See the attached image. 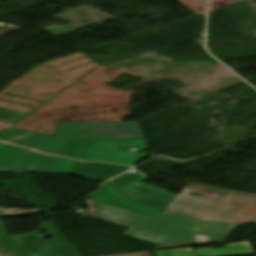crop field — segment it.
Returning a JSON list of instances; mask_svg holds the SVG:
<instances>
[{
  "label": "crop field",
  "instance_id": "733c2abd",
  "mask_svg": "<svg viewBox=\"0 0 256 256\" xmlns=\"http://www.w3.org/2000/svg\"><path fill=\"white\" fill-rule=\"evenodd\" d=\"M234 224H231V226H230V231L234 228ZM230 233V232H229Z\"/></svg>",
  "mask_w": 256,
  "mask_h": 256
},
{
  "label": "crop field",
  "instance_id": "ac0d7876",
  "mask_svg": "<svg viewBox=\"0 0 256 256\" xmlns=\"http://www.w3.org/2000/svg\"><path fill=\"white\" fill-rule=\"evenodd\" d=\"M69 138H144L137 122L61 123L55 137L10 128L0 140L62 156Z\"/></svg>",
  "mask_w": 256,
  "mask_h": 256
},
{
  "label": "crop field",
  "instance_id": "e52e79f7",
  "mask_svg": "<svg viewBox=\"0 0 256 256\" xmlns=\"http://www.w3.org/2000/svg\"><path fill=\"white\" fill-rule=\"evenodd\" d=\"M95 201H99L105 204H109L115 207H119L128 211H132L138 214H142L148 217L157 219L163 214L164 210L152 208L144 205L131 197L118 192L110 186L103 184L98 187L91 195L90 198Z\"/></svg>",
  "mask_w": 256,
  "mask_h": 256
},
{
  "label": "crop field",
  "instance_id": "dd49c442",
  "mask_svg": "<svg viewBox=\"0 0 256 256\" xmlns=\"http://www.w3.org/2000/svg\"><path fill=\"white\" fill-rule=\"evenodd\" d=\"M143 180H145V177L134 171L131 174H124L108 182V184L147 205L164 210L178 197L177 195L166 193L167 190L141 183Z\"/></svg>",
  "mask_w": 256,
  "mask_h": 256
},
{
  "label": "crop field",
  "instance_id": "d8731c3e",
  "mask_svg": "<svg viewBox=\"0 0 256 256\" xmlns=\"http://www.w3.org/2000/svg\"><path fill=\"white\" fill-rule=\"evenodd\" d=\"M41 154L0 143V171L29 172Z\"/></svg>",
  "mask_w": 256,
  "mask_h": 256
},
{
  "label": "crop field",
  "instance_id": "28ad6ade",
  "mask_svg": "<svg viewBox=\"0 0 256 256\" xmlns=\"http://www.w3.org/2000/svg\"><path fill=\"white\" fill-rule=\"evenodd\" d=\"M89 139H70L64 156L81 159Z\"/></svg>",
  "mask_w": 256,
  "mask_h": 256
},
{
  "label": "crop field",
  "instance_id": "f4fd0767",
  "mask_svg": "<svg viewBox=\"0 0 256 256\" xmlns=\"http://www.w3.org/2000/svg\"><path fill=\"white\" fill-rule=\"evenodd\" d=\"M121 147H135L147 150L143 139H91L82 161H104L107 163L133 166L145 153L138 156L118 151Z\"/></svg>",
  "mask_w": 256,
  "mask_h": 256
},
{
  "label": "crop field",
  "instance_id": "5a996713",
  "mask_svg": "<svg viewBox=\"0 0 256 256\" xmlns=\"http://www.w3.org/2000/svg\"><path fill=\"white\" fill-rule=\"evenodd\" d=\"M127 169H129V167L103 163L77 162L72 175L85 180L105 181Z\"/></svg>",
  "mask_w": 256,
  "mask_h": 256
},
{
  "label": "crop field",
  "instance_id": "22f410ed",
  "mask_svg": "<svg viewBox=\"0 0 256 256\" xmlns=\"http://www.w3.org/2000/svg\"><path fill=\"white\" fill-rule=\"evenodd\" d=\"M247 220L256 221V201L250 205L244 212H242L238 217L233 221L245 222Z\"/></svg>",
  "mask_w": 256,
  "mask_h": 256
},
{
  "label": "crop field",
  "instance_id": "d1516ede",
  "mask_svg": "<svg viewBox=\"0 0 256 256\" xmlns=\"http://www.w3.org/2000/svg\"><path fill=\"white\" fill-rule=\"evenodd\" d=\"M26 115L27 113L0 108V121L2 122L14 124Z\"/></svg>",
  "mask_w": 256,
  "mask_h": 256
},
{
  "label": "crop field",
  "instance_id": "34b2d1b8",
  "mask_svg": "<svg viewBox=\"0 0 256 256\" xmlns=\"http://www.w3.org/2000/svg\"><path fill=\"white\" fill-rule=\"evenodd\" d=\"M255 200V194L223 190L218 197L180 195L167 210L205 222H229Z\"/></svg>",
  "mask_w": 256,
  "mask_h": 256
},
{
  "label": "crop field",
  "instance_id": "8a807250",
  "mask_svg": "<svg viewBox=\"0 0 256 256\" xmlns=\"http://www.w3.org/2000/svg\"><path fill=\"white\" fill-rule=\"evenodd\" d=\"M89 216L131 228L125 234L166 245L187 246L196 235L209 238L204 244L222 243L230 224L204 223L191 217L164 211L157 220L90 200Z\"/></svg>",
  "mask_w": 256,
  "mask_h": 256
},
{
  "label": "crop field",
  "instance_id": "d9b57169",
  "mask_svg": "<svg viewBox=\"0 0 256 256\" xmlns=\"http://www.w3.org/2000/svg\"><path fill=\"white\" fill-rule=\"evenodd\" d=\"M207 241V238L196 235L188 246L203 245Z\"/></svg>",
  "mask_w": 256,
  "mask_h": 256
},
{
  "label": "crop field",
  "instance_id": "412701ff",
  "mask_svg": "<svg viewBox=\"0 0 256 256\" xmlns=\"http://www.w3.org/2000/svg\"><path fill=\"white\" fill-rule=\"evenodd\" d=\"M53 240L38 234L7 236L0 218V251L23 249L28 256H79L51 221L42 222Z\"/></svg>",
  "mask_w": 256,
  "mask_h": 256
},
{
  "label": "crop field",
  "instance_id": "3316defc",
  "mask_svg": "<svg viewBox=\"0 0 256 256\" xmlns=\"http://www.w3.org/2000/svg\"><path fill=\"white\" fill-rule=\"evenodd\" d=\"M62 157L42 155L30 172L55 173Z\"/></svg>",
  "mask_w": 256,
  "mask_h": 256
},
{
  "label": "crop field",
  "instance_id": "5142ce71",
  "mask_svg": "<svg viewBox=\"0 0 256 256\" xmlns=\"http://www.w3.org/2000/svg\"><path fill=\"white\" fill-rule=\"evenodd\" d=\"M76 161L63 158L56 173L71 174Z\"/></svg>",
  "mask_w": 256,
  "mask_h": 256
},
{
  "label": "crop field",
  "instance_id": "cbeb9de0",
  "mask_svg": "<svg viewBox=\"0 0 256 256\" xmlns=\"http://www.w3.org/2000/svg\"><path fill=\"white\" fill-rule=\"evenodd\" d=\"M37 213H41V212H39L38 210L22 211L18 209H8V210H0V217L37 214Z\"/></svg>",
  "mask_w": 256,
  "mask_h": 256
}]
</instances>
